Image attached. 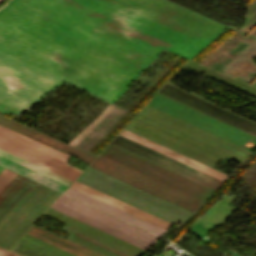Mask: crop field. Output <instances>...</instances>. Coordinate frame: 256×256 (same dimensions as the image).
Segmentation results:
<instances>
[{"label":"crop field","instance_id":"crop-field-9","mask_svg":"<svg viewBox=\"0 0 256 256\" xmlns=\"http://www.w3.org/2000/svg\"><path fill=\"white\" fill-rule=\"evenodd\" d=\"M5 256H18V255H15V254H13L11 252H8Z\"/></svg>","mask_w":256,"mask_h":256},{"label":"crop field","instance_id":"crop-field-5","mask_svg":"<svg viewBox=\"0 0 256 256\" xmlns=\"http://www.w3.org/2000/svg\"><path fill=\"white\" fill-rule=\"evenodd\" d=\"M0 165L63 192L71 181L0 150Z\"/></svg>","mask_w":256,"mask_h":256},{"label":"crop field","instance_id":"crop-field-11","mask_svg":"<svg viewBox=\"0 0 256 256\" xmlns=\"http://www.w3.org/2000/svg\"><path fill=\"white\" fill-rule=\"evenodd\" d=\"M3 0H0V3L2 2Z\"/></svg>","mask_w":256,"mask_h":256},{"label":"crop field","instance_id":"crop-field-4","mask_svg":"<svg viewBox=\"0 0 256 256\" xmlns=\"http://www.w3.org/2000/svg\"><path fill=\"white\" fill-rule=\"evenodd\" d=\"M57 201L154 243L158 237L62 195ZM55 201L51 208L147 250L152 243Z\"/></svg>","mask_w":256,"mask_h":256},{"label":"crop field","instance_id":"crop-field-8","mask_svg":"<svg viewBox=\"0 0 256 256\" xmlns=\"http://www.w3.org/2000/svg\"><path fill=\"white\" fill-rule=\"evenodd\" d=\"M7 250L0 247V256H2Z\"/></svg>","mask_w":256,"mask_h":256},{"label":"crop field","instance_id":"crop-field-3","mask_svg":"<svg viewBox=\"0 0 256 256\" xmlns=\"http://www.w3.org/2000/svg\"><path fill=\"white\" fill-rule=\"evenodd\" d=\"M64 193L162 236L171 223L75 181Z\"/></svg>","mask_w":256,"mask_h":256},{"label":"crop field","instance_id":"crop-field-10","mask_svg":"<svg viewBox=\"0 0 256 256\" xmlns=\"http://www.w3.org/2000/svg\"><path fill=\"white\" fill-rule=\"evenodd\" d=\"M3 170V168L0 167V172Z\"/></svg>","mask_w":256,"mask_h":256},{"label":"crop field","instance_id":"crop-field-2","mask_svg":"<svg viewBox=\"0 0 256 256\" xmlns=\"http://www.w3.org/2000/svg\"><path fill=\"white\" fill-rule=\"evenodd\" d=\"M0 149L73 181L82 170L67 164L68 155L0 126Z\"/></svg>","mask_w":256,"mask_h":256},{"label":"crop field","instance_id":"crop-field-1","mask_svg":"<svg viewBox=\"0 0 256 256\" xmlns=\"http://www.w3.org/2000/svg\"><path fill=\"white\" fill-rule=\"evenodd\" d=\"M204 45L226 27L166 0H105ZM103 0H11L0 9V112L63 82L111 104L166 48L204 45Z\"/></svg>","mask_w":256,"mask_h":256},{"label":"crop field","instance_id":"crop-field-6","mask_svg":"<svg viewBox=\"0 0 256 256\" xmlns=\"http://www.w3.org/2000/svg\"><path fill=\"white\" fill-rule=\"evenodd\" d=\"M35 184L36 182L16 174L0 191V222Z\"/></svg>","mask_w":256,"mask_h":256},{"label":"crop field","instance_id":"crop-field-7","mask_svg":"<svg viewBox=\"0 0 256 256\" xmlns=\"http://www.w3.org/2000/svg\"><path fill=\"white\" fill-rule=\"evenodd\" d=\"M121 135H123V136H125L127 138H130V139H132V140H134L136 142H139V143H141L143 145H146V146H148V147H150L152 149H155V150H157V151H159L161 153H164V154H166V155H168L170 157H173V158H175V159H177L179 161H182V162H184V163H186L188 165H191V166H193L195 168H198V169H200V170H202L204 172H207V173H209V174H211L213 176H216V177H218V178H220L222 180H224L227 177L226 175H224V174H222V173H220L218 171H215V170H213V169H211L209 167H206V166H204V165H202V164H200L198 162H195V161H193V160H191L189 158H186V157H184V156H182V155H180L178 153H175V152H173V151H171V150H169L167 148H164V147H162V146H160L158 144H155V143H153V142H151V141H149L147 139H144V138H142V137H140L138 135H135V134H133V133L127 131V130H123Z\"/></svg>","mask_w":256,"mask_h":256}]
</instances>
